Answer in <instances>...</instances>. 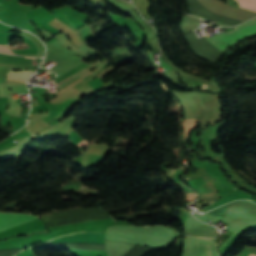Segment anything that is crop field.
<instances>
[{
	"label": "crop field",
	"mask_w": 256,
	"mask_h": 256,
	"mask_svg": "<svg viewBox=\"0 0 256 256\" xmlns=\"http://www.w3.org/2000/svg\"><path fill=\"white\" fill-rule=\"evenodd\" d=\"M7 7V0H0V20L4 22Z\"/></svg>",
	"instance_id": "crop-field-9"
},
{
	"label": "crop field",
	"mask_w": 256,
	"mask_h": 256,
	"mask_svg": "<svg viewBox=\"0 0 256 256\" xmlns=\"http://www.w3.org/2000/svg\"><path fill=\"white\" fill-rule=\"evenodd\" d=\"M39 216L15 214V213H0V231L15 225L31 221Z\"/></svg>",
	"instance_id": "crop-field-4"
},
{
	"label": "crop field",
	"mask_w": 256,
	"mask_h": 256,
	"mask_svg": "<svg viewBox=\"0 0 256 256\" xmlns=\"http://www.w3.org/2000/svg\"><path fill=\"white\" fill-rule=\"evenodd\" d=\"M217 200V199H216ZM215 201V200H214ZM210 202V201H209ZM213 202V201H212ZM211 203V202H210ZM205 204V203H204Z\"/></svg>",
	"instance_id": "crop-field-14"
},
{
	"label": "crop field",
	"mask_w": 256,
	"mask_h": 256,
	"mask_svg": "<svg viewBox=\"0 0 256 256\" xmlns=\"http://www.w3.org/2000/svg\"><path fill=\"white\" fill-rule=\"evenodd\" d=\"M67 138L71 139V144H73L74 146H76L77 148H81L83 145H85L87 143V141L82 140L79 135L74 131L73 133H71ZM82 140V141H81ZM81 141V142H80ZM80 142V143H79ZM79 143L78 145L81 146H77L76 144Z\"/></svg>",
	"instance_id": "crop-field-8"
},
{
	"label": "crop field",
	"mask_w": 256,
	"mask_h": 256,
	"mask_svg": "<svg viewBox=\"0 0 256 256\" xmlns=\"http://www.w3.org/2000/svg\"><path fill=\"white\" fill-rule=\"evenodd\" d=\"M25 120H26V119L24 118V120H23V121L25 122Z\"/></svg>",
	"instance_id": "crop-field-13"
},
{
	"label": "crop field",
	"mask_w": 256,
	"mask_h": 256,
	"mask_svg": "<svg viewBox=\"0 0 256 256\" xmlns=\"http://www.w3.org/2000/svg\"><path fill=\"white\" fill-rule=\"evenodd\" d=\"M24 58H31V57H24ZM31 59H38V58H31Z\"/></svg>",
	"instance_id": "crop-field-12"
},
{
	"label": "crop field",
	"mask_w": 256,
	"mask_h": 256,
	"mask_svg": "<svg viewBox=\"0 0 256 256\" xmlns=\"http://www.w3.org/2000/svg\"><path fill=\"white\" fill-rule=\"evenodd\" d=\"M197 119H184L183 126L185 128L184 138L185 142L188 140L189 132L191 129L196 127Z\"/></svg>",
	"instance_id": "crop-field-6"
},
{
	"label": "crop field",
	"mask_w": 256,
	"mask_h": 256,
	"mask_svg": "<svg viewBox=\"0 0 256 256\" xmlns=\"http://www.w3.org/2000/svg\"><path fill=\"white\" fill-rule=\"evenodd\" d=\"M249 256H256V254H252V253H250V255Z\"/></svg>",
	"instance_id": "crop-field-11"
},
{
	"label": "crop field",
	"mask_w": 256,
	"mask_h": 256,
	"mask_svg": "<svg viewBox=\"0 0 256 256\" xmlns=\"http://www.w3.org/2000/svg\"><path fill=\"white\" fill-rule=\"evenodd\" d=\"M32 71H10L7 78L17 79L26 82Z\"/></svg>",
	"instance_id": "crop-field-5"
},
{
	"label": "crop field",
	"mask_w": 256,
	"mask_h": 256,
	"mask_svg": "<svg viewBox=\"0 0 256 256\" xmlns=\"http://www.w3.org/2000/svg\"><path fill=\"white\" fill-rule=\"evenodd\" d=\"M240 7L256 12V0H237Z\"/></svg>",
	"instance_id": "crop-field-7"
},
{
	"label": "crop field",
	"mask_w": 256,
	"mask_h": 256,
	"mask_svg": "<svg viewBox=\"0 0 256 256\" xmlns=\"http://www.w3.org/2000/svg\"><path fill=\"white\" fill-rule=\"evenodd\" d=\"M186 184L197 191V201L208 200L219 196L216 188L214 187L212 181L207 177V175L186 182Z\"/></svg>",
	"instance_id": "crop-field-2"
},
{
	"label": "crop field",
	"mask_w": 256,
	"mask_h": 256,
	"mask_svg": "<svg viewBox=\"0 0 256 256\" xmlns=\"http://www.w3.org/2000/svg\"><path fill=\"white\" fill-rule=\"evenodd\" d=\"M0 52H5V53L13 54V53L9 50V48H8L7 45H1V44H0Z\"/></svg>",
	"instance_id": "crop-field-10"
},
{
	"label": "crop field",
	"mask_w": 256,
	"mask_h": 256,
	"mask_svg": "<svg viewBox=\"0 0 256 256\" xmlns=\"http://www.w3.org/2000/svg\"><path fill=\"white\" fill-rule=\"evenodd\" d=\"M188 256H211V239L190 237Z\"/></svg>",
	"instance_id": "crop-field-3"
},
{
	"label": "crop field",
	"mask_w": 256,
	"mask_h": 256,
	"mask_svg": "<svg viewBox=\"0 0 256 256\" xmlns=\"http://www.w3.org/2000/svg\"><path fill=\"white\" fill-rule=\"evenodd\" d=\"M236 29H234L231 32H226L222 35H217L213 38H206L208 41H210L212 44H214L217 48H219L220 50L223 49L224 47H226L227 45H229L230 43H232L233 41H235L236 39L254 31L256 29V19H251L237 27H235ZM256 34V30L238 40H236L235 42H233L232 44H230L229 46H227L226 48H224L221 51H224L225 49H227L228 47H230L231 45H233L234 43H236L237 41L250 37L252 35Z\"/></svg>",
	"instance_id": "crop-field-1"
}]
</instances>
